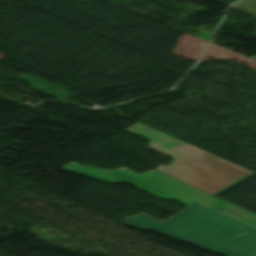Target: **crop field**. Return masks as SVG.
<instances>
[{
  "instance_id": "crop-field-1",
  "label": "crop field",
  "mask_w": 256,
  "mask_h": 256,
  "mask_svg": "<svg viewBox=\"0 0 256 256\" xmlns=\"http://www.w3.org/2000/svg\"><path fill=\"white\" fill-rule=\"evenodd\" d=\"M64 170L112 182L133 183L162 199H175L187 210L166 222L146 214L127 217L126 225L155 231L227 256H256V215L160 170L137 175L125 168L104 171L75 163Z\"/></svg>"
},
{
  "instance_id": "crop-field-2",
  "label": "crop field",
  "mask_w": 256,
  "mask_h": 256,
  "mask_svg": "<svg viewBox=\"0 0 256 256\" xmlns=\"http://www.w3.org/2000/svg\"><path fill=\"white\" fill-rule=\"evenodd\" d=\"M125 129L150 140L149 147L174 157L168 167L157 169L215 196L255 174L140 123Z\"/></svg>"
}]
</instances>
